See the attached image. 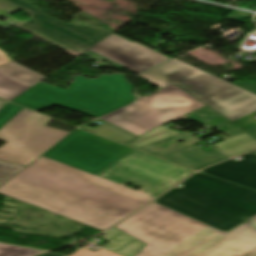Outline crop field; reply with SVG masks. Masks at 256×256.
Instances as JSON below:
<instances>
[{"mask_svg": "<svg viewBox=\"0 0 256 256\" xmlns=\"http://www.w3.org/2000/svg\"><path fill=\"white\" fill-rule=\"evenodd\" d=\"M191 173L135 149L96 176L41 156L0 193L104 231Z\"/></svg>", "mask_w": 256, "mask_h": 256, "instance_id": "8a807250", "label": "crop field"}, {"mask_svg": "<svg viewBox=\"0 0 256 256\" xmlns=\"http://www.w3.org/2000/svg\"><path fill=\"white\" fill-rule=\"evenodd\" d=\"M116 228L147 244L135 256H256V217L224 233L153 202Z\"/></svg>", "mask_w": 256, "mask_h": 256, "instance_id": "ac0d7876", "label": "crop field"}, {"mask_svg": "<svg viewBox=\"0 0 256 256\" xmlns=\"http://www.w3.org/2000/svg\"><path fill=\"white\" fill-rule=\"evenodd\" d=\"M181 184L155 202L224 232L256 215V191L199 172Z\"/></svg>", "mask_w": 256, "mask_h": 256, "instance_id": "34b2d1b8", "label": "crop field"}, {"mask_svg": "<svg viewBox=\"0 0 256 256\" xmlns=\"http://www.w3.org/2000/svg\"><path fill=\"white\" fill-rule=\"evenodd\" d=\"M133 87L121 74L75 76L69 90L40 82L11 101L34 110L60 105L98 118L134 101Z\"/></svg>", "mask_w": 256, "mask_h": 256, "instance_id": "412701ff", "label": "crop field"}, {"mask_svg": "<svg viewBox=\"0 0 256 256\" xmlns=\"http://www.w3.org/2000/svg\"><path fill=\"white\" fill-rule=\"evenodd\" d=\"M140 77L160 86L177 84L234 121L256 111V95L177 59Z\"/></svg>", "mask_w": 256, "mask_h": 256, "instance_id": "f4fd0767", "label": "crop field"}, {"mask_svg": "<svg viewBox=\"0 0 256 256\" xmlns=\"http://www.w3.org/2000/svg\"><path fill=\"white\" fill-rule=\"evenodd\" d=\"M203 106L178 86L171 85L100 119L138 136Z\"/></svg>", "mask_w": 256, "mask_h": 256, "instance_id": "dd49c442", "label": "crop field"}, {"mask_svg": "<svg viewBox=\"0 0 256 256\" xmlns=\"http://www.w3.org/2000/svg\"><path fill=\"white\" fill-rule=\"evenodd\" d=\"M51 120L23 108L0 130V159L27 166L71 133L45 126Z\"/></svg>", "mask_w": 256, "mask_h": 256, "instance_id": "e52e79f7", "label": "crop field"}, {"mask_svg": "<svg viewBox=\"0 0 256 256\" xmlns=\"http://www.w3.org/2000/svg\"><path fill=\"white\" fill-rule=\"evenodd\" d=\"M131 149L78 129L44 156L96 175Z\"/></svg>", "mask_w": 256, "mask_h": 256, "instance_id": "d8731c3e", "label": "crop field"}, {"mask_svg": "<svg viewBox=\"0 0 256 256\" xmlns=\"http://www.w3.org/2000/svg\"><path fill=\"white\" fill-rule=\"evenodd\" d=\"M31 19L19 27L63 50L85 52L113 32H100L90 26L67 24L42 11L30 15Z\"/></svg>", "mask_w": 256, "mask_h": 256, "instance_id": "5a996713", "label": "crop field"}, {"mask_svg": "<svg viewBox=\"0 0 256 256\" xmlns=\"http://www.w3.org/2000/svg\"><path fill=\"white\" fill-rule=\"evenodd\" d=\"M83 55L93 61L102 59L116 67H126L136 73H141L170 59L137 42H130L115 34L89 49Z\"/></svg>", "mask_w": 256, "mask_h": 256, "instance_id": "3316defc", "label": "crop field"}, {"mask_svg": "<svg viewBox=\"0 0 256 256\" xmlns=\"http://www.w3.org/2000/svg\"><path fill=\"white\" fill-rule=\"evenodd\" d=\"M44 76L15 62L0 67V98L10 101L43 80Z\"/></svg>", "mask_w": 256, "mask_h": 256, "instance_id": "28ad6ade", "label": "crop field"}, {"mask_svg": "<svg viewBox=\"0 0 256 256\" xmlns=\"http://www.w3.org/2000/svg\"><path fill=\"white\" fill-rule=\"evenodd\" d=\"M244 159L223 162L201 172L256 189V155H241Z\"/></svg>", "mask_w": 256, "mask_h": 256, "instance_id": "d1516ede", "label": "crop field"}, {"mask_svg": "<svg viewBox=\"0 0 256 256\" xmlns=\"http://www.w3.org/2000/svg\"><path fill=\"white\" fill-rule=\"evenodd\" d=\"M106 234L108 235L103 239H108L110 242L107 243L104 248L125 254L127 256H134L146 245L115 228L106 232Z\"/></svg>", "mask_w": 256, "mask_h": 256, "instance_id": "22f410ed", "label": "crop field"}, {"mask_svg": "<svg viewBox=\"0 0 256 256\" xmlns=\"http://www.w3.org/2000/svg\"><path fill=\"white\" fill-rule=\"evenodd\" d=\"M178 133H181V132L177 131V130L172 131L165 127H157L155 129L139 136L135 141H133L129 145H131L135 148H139V147L145 146L147 144L159 141L161 139L173 136Z\"/></svg>", "mask_w": 256, "mask_h": 256, "instance_id": "cbeb9de0", "label": "crop field"}, {"mask_svg": "<svg viewBox=\"0 0 256 256\" xmlns=\"http://www.w3.org/2000/svg\"><path fill=\"white\" fill-rule=\"evenodd\" d=\"M81 128L98 133L100 135L106 136L108 138L114 139V140L122 142L124 144L128 143L129 141H131L132 139L135 138V136H133L125 131H122L108 123L102 124L94 129L87 127V126H81Z\"/></svg>", "mask_w": 256, "mask_h": 256, "instance_id": "5142ce71", "label": "crop field"}, {"mask_svg": "<svg viewBox=\"0 0 256 256\" xmlns=\"http://www.w3.org/2000/svg\"><path fill=\"white\" fill-rule=\"evenodd\" d=\"M25 166L0 160V186L21 171Z\"/></svg>", "mask_w": 256, "mask_h": 256, "instance_id": "d9b57169", "label": "crop field"}, {"mask_svg": "<svg viewBox=\"0 0 256 256\" xmlns=\"http://www.w3.org/2000/svg\"><path fill=\"white\" fill-rule=\"evenodd\" d=\"M40 251L0 244V256H31Z\"/></svg>", "mask_w": 256, "mask_h": 256, "instance_id": "733c2abd", "label": "crop field"}, {"mask_svg": "<svg viewBox=\"0 0 256 256\" xmlns=\"http://www.w3.org/2000/svg\"><path fill=\"white\" fill-rule=\"evenodd\" d=\"M225 141L220 142L218 144L212 145L213 147L222 150L231 146H235L250 140H254V138H252L249 134H247L246 132L238 134L236 136L224 139Z\"/></svg>", "mask_w": 256, "mask_h": 256, "instance_id": "4a817a6b", "label": "crop field"}, {"mask_svg": "<svg viewBox=\"0 0 256 256\" xmlns=\"http://www.w3.org/2000/svg\"><path fill=\"white\" fill-rule=\"evenodd\" d=\"M22 107L8 103L0 110V128H2Z\"/></svg>", "mask_w": 256, "mask_h": 256, "instance_id": "bc2a9ffb", "label": "crop field"}, {"mask_svg": "<svg viewBox=\"0 0 256 256\" xmlns=\"http://www.w3.org/2000/svg\"><path fill=\"white\" fill-rule=\"evenodd\" d=\"M69 256H121V255L113 253L104 248L98 251H92L88 248L82 247Z\"/></svg>", "mask_w": 256, "mask_h": 256, "instance_id": "214f88e0", "label": "crop field"}, {"mask_svg": "<svg viewBox=\"0 0 256 256\" xmlns=\"http://www.w3.org/2000/svg\"><path fill=\"white\" fill-rule=\"evenodd\" d=\"M255 148H256V140L247 142V143L235 146V147H231V148H228V149H225L222 151L224 153H226L227 155H229L230 157H233V156L239 155L241 153L250 151Z\"/></svg>", "mask_w": 256, "mask_h": 256, "instance_id": "92a150f3", "label": "crop field"}, {"mask_svg": "<svg viewBox=\"0 0 256 256\" xmlns=\"http://www.w3.org/2000/svg\"><path fill=\"white\" fill-rule=\"evenodd\" d=\"M21 10L20 8L8 3L5 0H0V11L10 15L17 11Z\"/></svg>", "mask_w": 256, "mask_h": 256, "instance_id": "dafd665d", "label": "crop field"}, {"mask_svg": "<svg viewBox=\"0 0 256 256\" xmlns=\"http://www.w3.org/2000/svg\"><path fill=\"white\" fill-rule=\"evenodd\" d=\"M22 8H24L29 14L39 10L37 7L25 2L24 0H8Z\"/></svg>", "mask_w": 256, "mask_h": 256, "instance_id": "00972430", "label": "crop field"}, {"mask_svg": "<svg viewBox=\"0 0 256 256\" xmlns=\"http://www.w3.org/2000/svg\"><path fill=\"white\" fill-rule=\"evenodd\" d=\"M233 84L240 86V87L256 94V82L255 81H238V82H233Z\"/></svg>", "mask_w": 256, "mask_h": 256, "instance_id": "a9b5d70f", "label": "crop field"}, {"mask_svg": "<svg viewBox=\"0 0 256 256\" xmlns=\"http://www.w3.org/2000/svg\"><path fill=\"white\" fill-rule=\"evenodd\" d=\"M12 61L13 60L4 51L0 49V66Z\"/></svg>", "mask_w": 256, "mask_h": 256, "instance_id": "4177f3b9", "label": "crop field"}, {"mask_svg": "<svg viewBox=\"0 0 256 256\" xmlns=\"http://www.w3.org/2000/svg\"><path fill=\"white\" fill-rule=\"evenodd\" d=\"M38 256H66V255H61V254H55V253L47 252V253L40 254Z\"/></svg>", "mask_w": 256, "mask_h": 256, "instance_id": "730fd06b", "label": "crop field"}, {"mask_svg": "<svg viewBox=\"0 0 256 256\" xmlns=\"http://www.w3.org/2000/svg\"><path fill=\"white\" fill-rule=\"evenodd\" d=\"M8 102L0 99V109L6 105Z\"/></svg>", "mask_w": 256, "mask_h": 256, "instance_id": "eef30255", "label": "crop field"}, {"mask_svg": "<svg viewBox=\"0 0 256 256\" xmlns=\"http://www.w3.org/2000/svg\"><path fill=\"white\" fill-rule=\"evenodd\" d=\"M71 53H73V54H75V55H79V54H81L80 52H78V51H72Z\"/></svg>", "mask_w": 256, "mask_h": 256, "instance_id": "ae1a2a85", "label": "crop field"}, {"mask_svg": "<svg viewBox=\"0 0 256 256\" xmlns=\"http://www.w3.org/2000/svg\"><path fill=\"white\" fill-rule=\"evenodd\" d=\"M95 28H96V27H95ZM97 29H99V30H101V31L105 30V29H101V28H97Z\"/></svg>", "mask_w": 256, "mask_h": 256, "instance_id": "d3111659", "label": "crop field"}]
</instances>
